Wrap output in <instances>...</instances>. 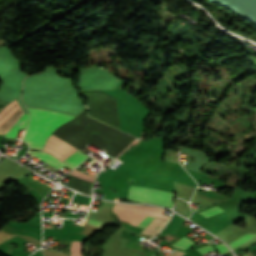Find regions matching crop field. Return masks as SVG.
<instances>
[{
    "label": "crop field",
    "instance_id": "8a807250",
    "mask_svg": "<svg viewBox=\"0 0 256 256\" xmlns=\"http://www.w3.org/2000/svg\"><path fill=\"white\" fill-rule=\"evenodd\" d=\"M28 109L31 118L22 140L29 144L30 149L42 150L48 136L59 126L74 118L51 111ZM52 134L79 150L85 148V144L89 142L100 149H105V153L115 158L136 140L88 117L87 111H82L76 118L59 127ZM79 150L63 162L47 152L29 151V154L60 170L65 165L72 169L88 157Z\"/></svg>",
    "mask_w": 256,
    "mask_h": 256
},
{
    "label": "crop field",
    "instance_id": "ac0d7876",
    "mask_svg": "<svg viewBox=\"0 0 256 256\" xmlns=\"http://www.w3.org/2000/svg\"><path fill=\"white\" fill-rule=\"evenodd\" d=\"M115 208L143 214V215H148V216H153V217H158L162 219L169 220L170 217L161 215L160 213L162 212V208L158 207H141V206H134V205H126V204H120V203H115L114 205ZM113 208L112 212L116 213L121 220H125L130 222L132 225H135L139 220H141L144 216L115 209ZM145 216L141 221H139L136 226H139L141 228H145L154 218L153 217H148Z\"/></svg>",
    "mask_w": 256,
    "mask_h": 256
},
{
    "label": "crop field",
    "instance_id": "34b2d1b8",
    "mask_svg": "<svg viewBox=\"0 0 256 256\" xmlns=\"http://www.w3.org/2000/svg\"><path fill=\"white\" fill-rule=\"evenodd\" d=\"M174 194L167 191L154 190L131 185L129 189V201L159 204L172 208Z\"/></svg>",
    "mask_w": 256,
    "mask_h": 256
},
{
    "label": "crop field",
    "instance_id": "412701ff",
    "mask_svg": "<svg viewBox=\"0 0 256 256\" xmlns=\"http://www.w3.org/2000/svg\"><path fill=\"white\" fill-rule=\"evenodd\" d=\"M16 99L0 111V134H5L23 115Z\"/></svg>",
    "mask_w": 256,
    "mask_h": 256
},
{
    "label": "crop field",
    "instance_id": "f4fd0767",
    "mask_svg": "<svg viewBox=\"0 0 256 256\" xmlns=\"http://www.w3.org/2000/svg\"><path fill=\"white\" fill-rule=\"evenodd\" d=\"M76 148L73 146L69 145L68 143L62 141L61 139L57 138L54 135H50V137L46 141V145L43 149V151H47L50 154H53L60 160H64L67 156L71 155L74 153Z\"/></svg>",
    "mask_w": 256,
    "mask_h": 256
},
{
    "label": "crop field",
    "instance_id": "dd49c442",
    "mask_svg": "<svg viewBox=\"0 0 256 256\" xmlns=\"http://www.w3.org/2000/svg\"><path fill=\"white\" fill-rule=\"evenodd\" d=\"M29 119V115L24 114L19 120L18 122L9 130V132L7 134L4 135V137H8V138H16V135L18 133L19 129L24 130L27 122Z\"/></svg>",
    "mask_w": 256,
    "mask_h": 256
},
{
    "label": "crop field",
    "instance_id": "e52e79f7",
    "mask_svg": "<svg viewBox=\"0 0 256 256\" xmlns=\"http://www.w3.org/2000/svg\"><path fill=\"white\" fill-rule=\"evenodd\" d=\"M82 241L71 242V256H82Z\"/></svg>",
    "mask_w": 256,
    "mask_h": 256
},
{
    "label": "crop field",
    "instance_id": "d8731c3e",
    "mask_svg": "<svg viewBox=\"0 0 256 256\" xmlns=\"http://www.w3.org/2000/svg\"><path fill=\"white\" fill-rule=\"evenodd\" d=\"M194 242H192L191 240L187 239V238H182L179 241H177L175 244H173V246L178 247V248H182L185 250V248L191 246Z\"/></svg>",
    "mask_w": 256,
    "mask_h": 256
},
{
    "label": "crop field",
    "instance_id": "5a996713",
    "mask_svg": "<svg viewBox=\"0 0 256 256\" xmlns=\"http://www.w3.org/2000/svg\"><path fill=\"white\" fill-rule=\"evenodd\" d=\"M256 233H248L246 235H244L243 237L239 238L238 240L230 243L229 245L232 247V248H235L237 247L238 245H240L242 242L246 241L247 239L255 236Z\"/></svg>",
    "mask_w": 256,
    "mask_h": 256
},
{
    "label": "crop field",
    "instance_id": "3316defc",
    "mask_svg": "<svg viewBox=\"0 0 256 256\" xmlns=\"http://www.w3.org/2000/svg\"><path fill=\"white\" fill-rule=\"evenodd\" d=\"M221 211H223V210L221 208H219L218 206H216V207L207 209L205 211H202V212H200V214H202V215H204L206 217H210V216H212V215H214L216 213H219Z\"/></svg>",
    "mask_w": 256,
    "mask_h": 256
},
{
    "label": "crop field",
    "instance_id": "28ad6ade",
    "mask_svg": "<svg viewBox=\"0 0 256 256\" xmlns=\"http://www.w3.org/2000/svg\"><path fill=\"white\" fill-rule=\"evenodd\" d=\"M88 223L92 224V225H95V226H98L100 228H102L103 226L106 225V223H102V222H99V221H96V220H93V219H90V218L88 220Z\"/></svg>",
    "mask_w": 256,
    "mask_h": 256
},
{
    "label": "crop field",
    "instance_id": "d1516ede",
    "mask_svg": "<svg viewBox=\"0 0 256 256\" xmlns=\"http://www.w3.org/2000/svg\"><path fill=\"white\" fill-rule=\"evenodd\" d=\"M197 250L199 252H201L202 254H204V253L209 252V251L214 250V249L211 247V245H209V246L197 248Z\"/></svg>",
    "mask_w": 256,
    "mask_h": 256
},
{
    "label": "crop field",
    "instance_id": "22f410ed",
    "mask_svg": "<svg viewBox=\"0 0 256 256\" xmlns=\"http://www.w3.org/2000/svg\"><path fill=\"white\" fill-rule=\"evenodd\" d=\"M216 247L218 248L221 254L229 251L228 248L223 243L216 245Z\"/></svg>",
    "mask_w": 256,
    "mask_h": 256
},
{
    "label": "crop field",
    "instance_id": "cbeb9de0",
    "mask_svg": "<svg viewBox=\"0 0 256 256\" xmlns=\"http://www.w3.org/2000/svg\"><path fill=\"white\" fill-rule=\"evenodd\" d=\"M246 256H253L250 252L246 254Z\"/></svg>",
    "mask_w": 256,
    "mask_h": 256
}]
</instances>
